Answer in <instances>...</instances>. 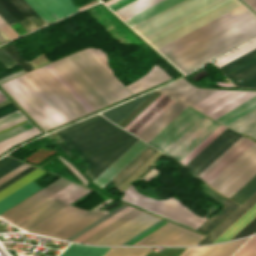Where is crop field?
Here are the masks:
<instances>
[{
	"instance_id": "crop-field-35",
	"label": "crop field",
	"mask_w": 256,
	"mask_h": 256,
	"mask_svg": "<svg viewBox=\"0 0 256 256\" xmlns=\"http://www.w3.org/2000/svg\"><path fill=\"white\" fill-rule=\"evenodd\" d=\"M48 8L59 18H63L78 9L72 4L71 0H42Z\"/></svg>"
},
{
	"instance_id": "crop-field-68",
	"label": "crop field",
	"mask_w": 256,
	"mask_h": 256,
	"mask_svg": "<svg viewBox=\"0 0 256 256\" xmlns=\"http://www.w3.org/2000/svg\"><path fill=\"white\" fill-rule=\"evenodd\" d=\"M8 41V39L0 32V44Z\"/></svg>"
},
{
	"instance_id": "crop-field-51",
	"label": "crop field",
	"mask_w": 256,
	"mask_h": 256,
	"mask_svg": "<svg viewBox=\"0 0 256 256\" xmlns=\"http://www.w3.org/2000/svg\"><path fill=\"white\" fill-rule=\"evenodd\" d=\"M36 168L30 166L27 169L23 170L22 172H20L19 174L15 175L14 177H12L11 179H9L8 181L4 182L3 184L0 185V191L3 190L4 188L8 187L9 185H11L12 183L16 182L17 180H19L20 178L24 177L25 175L29 174L30 172H32L33 170H35Z\"/></svg>"
},
{
	"instance_id": "crop-field-30",
	"label": "crop field",
	"mask_w": 256,
	"mask_h": 256,
	"mask_svg": "<svg viewBox=\"0 0 256 256\" xmlns=\"http://www.w3.org/2000/svg\"><path fill=\"white\" fill-rule=\"evenodd\" d=\"M223 211L218 215L207 219L197 230L208 234L213 228H215L221 221H223L231 212H233L238 206L232 203L230 200H225Z\"/></svg>"
},
{
	"instance_id": "crop-field-40",
	"label": "crop field",
	"mask_w": 256,
	"mask_h": 256,
	"mask_svg": "<svg viewBox=\"0 0 256 256\" xmlns=\"http://www.w3.org/2000/svg\"><path fill=\"white\" fill-rule=\"evenodd\" d=\"M195 88L196 87L191 86L185 80L181 79L169 86L161 88L160 90L178 99Z\"/></svg>"
},
{
	"instance_id": "crop-field-14",
	"label": "crop field",
	"mask_w": 256,
	"mask_h": 256,
	"mask_svg": "<svg viewBox=\"0 0 256 256\" xmlns=\"http://www.w3.org/2000/svg\"><path fill=\"white\" fill-rule=\"evenodd\" d=\"M202 238L200 234L168 222L133 245H195Z\"/></svg>"
},
{
	"instance_id": "crop-field-58",
	"label": "crop field",
	"mask_w": 256,
	"mask_h": 256,
	"mask_svg": "<svg viewBox=\"0 0 256 256\" xmlns=\"http://www.w3.org/2000/svg\"><path fill=\"white\" fill-rule=\"evenodd\" d=\"M247 239H248V238L235 241V242H234L223 254H221L220 256H230V255L233 254Z\"/></svg>"
},
{
	"instance_id": "crop-field-4",
	"label": "crop field",
	"mask_w": 256,
	"mask_h": 256,
	"mask_svg": "<svg viewBox=\"0 0 256 256\" xmlns=\"http://www.w3.org/2000/svg\"><path fill=\"white\" fill-rule=\"evenodd\" d=\"M220 125L187 107L148 144L181 161Z\"/></svg>"
},
{
	"instance_id": "crop-field-56",
	"label": "crop field",
	"mask_w": 256,
	"mask_h": 256,
	"mask_svg": "<svg viewBox=\"0 0 256 256\" xmlns=\"http://www.w3.org/2000/svg\"><path fill=\"white\" fill-rule=\"evenodd\" d=\"M22 163L23 162L14 159L11 162H9L8 164L4 165L3 167L0 168V177L3 176L4 174L8 173L12 169L16 168L17 166H19Z\"/></svg>"
},
{
	"instance_id": "crop-field-33",
	"label": "crop field",
	"mask_w": 256,
	"mask_h": 256,
	"mask_svg": "<svg viewBox=\"0 0 256 256\" xmlns=\"http://www.w3.org/2000/svg\"><path fill=\"white\" fill-rule=\"evenodd\" d=\"M161 0H136L116 11H114L123 20L152 6ZM127 20V19H126ZM125 21V20H124Z\"/></svg>"
},
{
	"instance_id": "crop-field-25",
	"label": "crop field",
	"mask_w": 256,
	"mask_h": 256,
	"mask_svg": "<svg viewBox=\"0 0 256 256\" xmlns=\"http://www.w3.org/2000/svg\"><path fill=\"white\" fill-rule=\"evenodd\" d=\"M41 189L32 181L0 201V214Z\"/></svg>"
},
{
	"instance_id": "crop-field-44",
	"label": "crop field",
	"mask_w": 256,
	"mask_h": 256,
	"mask_svg": "<svg viewBox=\"0 0 256 256\" xmlns=\"http://www.w3.org/2000/svg\"><path fill=\"white\" fill-rule=\"evenodd\" d=\"M254 192H256V176L252 178L245 186H243L235 195L230 199L242 204L246 201Z\"/></svg>"
},
{
	"instance_id": "crop-field-21",
	"label": "crop field",
	"mask_w": 256,
	"mask_h": 256,
	"mask_svg": "<svg viewBox=\"0 0 256 256\" xmlns=\"http://www.w3.org/2000/svg\"><path fill=\"white\" fill-rule=\"evenodd\" d=\"M110 201L111 199L105 201L101 205L97 206L96 208L92 209L88 213L84 214L83 216L79 217L75 221L71 222L67 226L58 230L57 232L52 234V236H56L64 239L70 237L74 233L78 232L79 230L83 229L84 227L88 226L92 222L96 221L97 219L107 214V212L98 211L97 209Z\"/></svg>"
},
{
	"instance_id": "crop-field-20",
	"label": "crop field",
	"mask_w": 256,
	"mask_h": 256,
	"mask_svg": "<svg viewBox=\"0 0 256 256\" xmlns=\"http://www.w3.org/2000/svg\"><path fill=\"white\" fill-rule=\"evenodd\" d=\"M186 107L187 106L177 101L137 137L148 143Z\"/></svg>"
},
{
	"instance_id": "crop-field-2",
	"label": "crop field",
	"mask_w": 256,
	"mask_h": 256,
	"mask_svg": "<svg viewBox=\"0 0 256 256\" xmlns=\"http://www.w3.org/2000/svg\"><path fill=\"white\" fill-rule=\"evenodd\" d=\"M56 133L66 142L60 146L69 157L73 148L92 164L84 171L92 181L138 140L100 115Z\"/></svg>"
},
{
	"instance_id": "crop-field-53",
	"label": "crop field",
	"mask_w": 256,
	"mask_h": 256,
	"mask_svg": "<svg viewBox=\"0 0 256 256\" xmlns=\"http://www.w3.org/2000/svg\"><path fill=\"white\" fill-rule=\"evenodd\" d=\"M256 230V218L253 219L245 228H243L234 238L253 233Z\"/></svg>"
},
{
	"instance_id": "crop-field-3",
	"label": "crop field",
	"mask_w": 256,
	"mask_h": 256,
	"mask_svg": "<svg viewBox=\"0 0 256 256\" xmlns=\"http://www.w3.org/2000/svg\"><path fill=\"white\" fill-rule=\"evenodd\" d=\"M221 127L222 125L217 130H215L207 139H205L197 148H195L187 157H185L181 162L183 163L188 157H190L202 144H204ZM226 129L227 128L223 126L204 145H202L190 158H188L183 163V165L186 166L190 161H192L200 152H202L211 142H213ZM241 138L242 136L227 129L223 134H221L213 143H211L202 153H200L186 167L193 174L200 177ZM252 144L253 142L243 137L200 178L209 184L214 178H216L225 168H227L237 157H239Z\"/></svg>"
},
{
	"instance_id": "crop-field-6",
	"label": "crop field",
	"mask_w": 256,
	"mask_h": 256,
	"mask_svg": "<svg viewBox=\"0 0 256 256\" xmlns=\"http://www.w3.org/2000/svg\"><path fill=\"white\" fill-rule=\"evenodd\" d=\"M67 59L110 103L131 95L88 50Z\"/></svg>"
},
{
	"instance_id": "crop-field-15",
	"label": "crop field",
	"mask_w": 256,
	"mask_h": 256,
	"mask_svg": "<svg viewBox=\"0 0 256 256\" xmlns=\"http://www.w3.org/2000/svg\"><path fill=\"white\" fill-rule=\"evenodd\" d=\"M159 219L143 212L93 244L121 245Z\"/></svg>"
},
{
	"instance_id": "crop-field-29",
	"label": "crop field",
	"mask_w": 256,
	"mask_h": 256,
	"mask_svg": "<svg viewBox=\"0 0 256 256\" xmlns=\"http://www.w3.org/2000/svg\"><path fill=\"white\" fill-rule=\"evenodd\" d=\"M1 86L43 130L51 129V127L34 111V109L18 94V92L8 82L1 84Z\"/></svg>"
},
{
	"instance_id": "crop-field-67",
	"label": "crop field",
	"mask_w": 256,
	"mask_h": 256,
	"mask_svg": "<svg viewBox=\"0 0 256 256\" xmlns=\"http://www.w3.org/2000/svg\"><path fill=\"white\" fill-rule=\"evenodd\" d=\"M12 158H9V157H4L2 159H0V167L3 166L4 164H6L7 162L11 161Z\"/></svg>"
},
{
	"instance_id": "crop-field-11",
	"label": "crop field",
	"mask_w": 256,
	"mask_h": 256,
	"mask_svg": "<svg viewBox=\"0 0 256 256\" xmlns=\"http://www.w3.org/2000/svg\"><path fill=\"white\" fill-rule=\"evenodd\" d=\"M174 101L175 99L157 91L118 126L136 136Z\"/></svg>"
},
{
	"instance_id": "crop-field-31",
	"label": "crop field",
	"mask_w": 256,
	"mask_h": 256,
	"mask_svg": "<svg viewBox=\"0 0 256 256\" xmlns=\"http://www.w3.org/2000/svg\"><path fill=\"white\" fill-rule=\"evenodd\" d=\"M152 93H150V94H152ZM150 94L140 97L136 100H133V101L126 103L122 106H119L117 108H114L110 111H107V112L103 113V115L105 117H107L109 120H111L117 124L127 114H129L134 108H136L142 101H144Z\"/></svg>"
},
{
	"instance_id": "crop-field-69",
	"label": "crop field",
	"mask_w": 256,
	"mask_h": 256,
	"mask_svg": "<svg viewBox=\"0 0 256 256\" xmlns=\"http://www.w3.org/2000/svg\"><path fill=\"white\" fill-rule=\"evenodd\" d=\"M7 99V97L0 91V101Z\"/></svg>"
},
{
	"instance_id": "crop-field-49",
	"label": "crop field",
	"mask_w": 256,
	"mask_h": 256,
	"mask_svg": "<svg viewBox=\"0 0 256 256\" xmlns=\"http://www.w3.org/2000/svg\"><path fill=\"white\" fill-rule=\"evenodd\" d=\"M230 244L208 246L198 256H219Z\"/></svg>"
},
{
	"instance_id": "crop-field-59",
	"label": "crop field",
	"mask_w": 256,
	"mask_h": 256,
	"mask_svg": "<svg viewBox=\"0 0 256 256\" xmlns=\"http://www.w3.org/2000/svg\"><path fill=\"white\" fill-rule=\"evenodd\" d=\"M21 116H23V114L19 110H17V111H15L13 113H10V114H8L6 116L1 117L0 118V125L5 124V123H7L9 121H12V120H14L16 118H19Z\"/></svg>"
},
{
	"instance_id": "crop-field-22",
	"label": "crop field",
	"mask_w": 256,
	"mask_h": 256,
	"mask_svg": "<svg viewBox=\"0 0 256 256\" xmlns=\"http://www.w3.org/2000/svg\"><path fill=\"white\" fill-rule=\"evenodd\" d=\"M61 76L84 98V100L94 109H99L92 100L77 86V84L62 70V68L56 63L51 64ZM50 64L46 67L56 76V78L79 100V102L89 111H94L83 98L60 76V74Z\"/></svg>"
},
{
	"instance_id": "crop-field-55",
	"label": "crop field",
	"mask_w": 256,
	"mask_h": 256,
	"mask_svg": "<svg viewBox=\"0 0 256 256\" xmlns=\"http://www.w3.org/2000/svg\"><path fill=\"white\" fill-rule=\"evenodd\" d=\"M132 1H134V0H108L104 3L114 11Z\"/></svg>"
},
{
	"instance_id": "crop-field-28",
	"label": "crop field",
	"mask_w": 256,
	"mask_h": 256,
	"mask_svg": "<svg viewBox=\"0 0 256 256\" xmlns=\"http://www.w3.org/2000/svg\"><path fill=\"white\" fill-rule=\"evenodd\" d=\"M183 0H163L152 7L128 18L125 20L126 23H128L131 27L160 13L161 11L181 2Z\"/></svg>"
},
{
	"instance_id": "crop-field-32",
	"label": "crop field",
	"mask_w": 256,
	"mask_h": 256,
	"mask_svg": "<svg viewBox=\"0 0 256 256\" xmlns=\"http://www.w3.org/2000/svg\"><path fill=\"white\" fill-rule=\"evenodd\" d=\"M256 216V205L253 206L246 214H244L236 223H234L227 231H225L213 243L230 240L245 225H247Z\"/></svg>"
},
{
	"instance_id": "crop-field-19",
	"label": "crop field",
	"mask_w": 256,
	"mask_h": 256,
	"mask_svg": "<svg viewBox=\"0 0 256 256\" xmlns=\"http://www.w3.org/2000/svg\"><path fill=\"white\" fill-rule=\"evenodd\" d=\"M57 63L93 100V102L99 108L109 104V102L87 81V79L66 58L57 61Z\"/></svg>"
},
{
	"instance_id": "crop-field-66",
	"label": "crop field",
	"mask_w": 256,
	"mask_h": 256,
	"mask_svg": "<svg viewBox=\"0 0 256 256\" xmlns=\"http://www.w3.org/2000/svg\"><path fill=\"white\" fill-rule=\"evenodd\" d=\"M252 9L256 11V0H244Z\"/></svg>"
},
{
	"instance_id": "crop-field-65",
	"label": "crop field",
	"mask_w": 256,
	"mask_h": 256,
	"mask_svg": "<svg viewBox=\"0 0 256 256\" xmlns=\"http://www.w3.org/2000/svg\"><path fill=\"white\" fill-rule=\"evenodd\" d=\"M164 220H160L158 222H156L155 224H153L152 226H150L149 228H147L146 230H144L143 232L139 233L138 235H136L135 237H133L132 239H130L129 241H127L126 243H124L123 245H126L128 243H130L131 241H133L134 239L138 238L139 236H141L142 234L146 233L147 231H149L150 229L154 228L155 226H157L158 224L162 223Z\"/></svg>"
},
{
	"instance_id": "crop-field-16",
	"label": "crop field",
	"mask_w": 256,
	"mask_h": 256,
	"mask_svg": "<svg viewBox=\"0 0 256 256\" xmlns=\"http://www.w3.org/2000/svg\"><path fill=\"white\" fill-rule=\"evenodd\" d=\"M86 212L87 211L69 205L29 231L49 235Z\"/></svg>"
},
{
	"instance_id": "crop-field-18",
	"label": "crop field",
	"mask_w": 256,
	"mask_h": 256,
	"mask_svg": "<svg viewBox=\"0 0 256 256\" xmlns=\"http://www.w3.org/2000/svg\"><path fill=\"white\" fill-rule=\"evenodd\" d=\"M70 183L71 182L60 178L57 181H55L54 183H52L51 185H49L48 187H46L45 189H43V190L41 189L42 191L30 196L29 198L22 201L21 203L14 206L13 208H11L10 210H8L7 212L3 213L0 216L4 217L5 219L10 221L13 218L17 217L21 213L25 212L32 206L36 205L40 201L44 200L45 198L49 197L50 195L54 194L55 192H57L58 190L62 189L63 187L67 186Z\"/></svg>"
},
{
	"instance_id": "crop-field-37",
	"label": "crop field",
	"mask_w": 256,
	"mask_h": 256,
	"mask_svg": "<svg viewBox=\"0 0 256 256\" xmlns=\"http://www.w3.org/2000/svg\"><path fill=\"white\" fill-rule=\"evenodd\" d=\"M42 133L40 130H38L36 127H33L29 130H26L20 134H17L13 137H10L4 141L0 142V154L4 151L10 149L11 147L15 146L21 141L27 140L29 138H32L38 134Z\"/></svg>"
},
{
	"instance_id": "crop-field-27",
	"label": "crop field",
	"mask_w": 256,
	"mask_h": 256,
	"mask_svg": "<svg viewBox=\"0 0 256 256\" xmlns=\"http://www.w3.org/2000/svg\"><path fill=\"white\" fill-rule=\"evenodd\" d=\"M226 126L256 139V108Z\"/></svg>"
},
{
	"instance_id": "crop-field-36",
	"label": "crop field",
	"mask_w": 256,
	"mask_h": 256,
	"mask_svg": "<svg viewBox=\"0 0 256 256\" xmlns=\"http://www.w3.org/2000/svg\"><path fill=\"white\" fill-rule=\"evenodd\" d=\"M141 212L142 211H139L137 209L131 211L130 213L126 214L122 218L118 219L117 221L113 222L112 224L108 225L107 227L103 228L102 230L98 231L97 233H95L94 235L90 236L89 238L85 239L82 242L83 243H88V244H91V243L95 242L99 238L103 237L107 233L111 232L112 230L119 227L120 225L127 222L128 220L135 217L136 215H138Z\"/></svg>"
},
{
	"instance_id": "crop-field-62",
	"label": "crop field",
	"mask_w": 256,
	"mask_h": 256,
	"mask_svg": "<svg viewBox=\"0 0 256 256\" xmlns=\"http://www.w3.org/2000/svg\"><path fill=\"white\" fill-rule=\"evenodd\" d=\"M17 110L12 102L0 107V117Z\"/></svg>"
},
{
	"instance_id": "crop-field-39",
	"label": "crop field",
	"mask_w": 256,
	"mask_h": 256,
	"mask_svg": "<svg viewBox=\"0 0 256 256\" xmlns=\"http://www.w3.org/2000/svg\"><path fill=\"white\" fill-rule=\"evenodd\" d=\"M0 3L27 32L36 29V27L14 6L10 0H0Z\"/></svg>"
},
{
	"instance_id": "crop-field-61",
	"label": "crop field",
	"mask_w": 256,
	"mask_h": 256,
	"mask_svg": "<svg viewBox=\"0 0 256 256\" xmlns=\"http://www.w3.org/2000/svg\"><path fill=\"white\" fill-rule=\"evenodd\" d=\"M29 165L27 164H22L21 166L17 167L16 169H14L13 171L9 172L8 174H6L5 176L0 178V184L3 183L4 181L8 180L9 178H11L12 176H14L15 174L19 173L20 171H22L23 169L27 168Z\"/></svg>"
},
{
	"instance_id": "crop-field-9",
	"label": "crop field",
	"mask_w": 256,
	"mask_h": 256,
	"mask_svg": "<svg viewBox=\"0 0 256 256\" xmlns=\"http://www.w3.org/2000/svg\"><path fill=\"white\" fill-rule=\"evenodd\" d=\"M123 199L126 202L162 215L194 229H197L205 221V219L196 216L192 211L173 197L156 202L154 200L142 197L132 186H130Z\"/></svg>"
},
{
	"instance_id": "crop-field-57",
	"label": "crop field",
	"mask_w": 256,
	"mask_h": 256,
	"mask_svg": "<svg viewBox=\"0 0 256 256\" xmlns=\"http://www.w3.org/2000/svg\"><path fill=\"white\" fill-rule=\"evenodd\" d=\"M100 60L101 62L112 72L108 65L107 55L104 51L96 48H89Z\"/></svg>"
},
{
	"instance_id": "crop-field-17",
	"label": "crop field",
	"mask_w": 256,
	"mask_h": 256,
	"mask_svg": "<svg viewBox=\"0 0 256 256\" xmlns=\"http://www.w3.org/2000/svg\"><path fill=\"white\" fill-rule=\"evenodd\" d=\"M148 146L138 140L93 182L102 188Z\"/></svg>"
},
{
	"instance_id": "crop-field-52",
	"label": "crop field",
	"mask_w": 256,
	"mask_h": 256,
	"mask_svg": "<svg viewBox=\"0 0 256 256\" xmlns=\"http://www.w3.org/2000/svg\"><path fill=\"white\" fill-rule=\"evenodd\" d=\"M9 25V24H8ZM0 17V30L9 39L18 37V35L8 26Z\"/></svg>"
},
{
	"instance_id": "crop-field-10",
	"label": "crop field",
	"mask_w": 256,
	"mask_h": 256,
	"mask_svg": "<svg viewBox=\"0 0 256 256\" xmlns=\"http://www.w3.org/2000/svg\"><path fill=\"white\" fill-rule=\"evenodd\" d=\"M255 47H256V40L249 43L248 45L216 60V62L213 64L218 67V66L254 49ZM255 58H256V48L254 50L218 67V68L225 74V73H227V72L255 59ZM225 75L234 84H236L239 87H255L256 88V59L225 74Z\"/></svg>"
},
{
	"instance_id": "crop-field-54",
	"label": "crop field",
	"mask_w": 256,
	"mask_h": 256,
	"mask_svg": "<svg viewBox=\"0 0 256 256\" xmlns=\"http://www.w3.org/2000/svg\"><path fill=\"white\" fill-rule=\"evenodd\" d=\"M0 61L7 67H11L17 64L6 52L3 48H0Z\"/></svg>"
},
{
	"instance_id": "crop-field-5",
	"label": "crop field",
	"mask_w": 256,
	"mask_h": 256,
	"mask_svg": "<svg viewBox=\"0 0 256 256\" xmlns=\"http://www.w3.org/2000/svg\"><path fill=\"white\" fill-rule=\"evenodd\" d=\"M25 76L68 121L88 113L45 66Z\"/></svg>"
},
{
	"instance_id": "crop-field-45",
	"label": "crop field",
	"mask_w": 256,
	"mask_h": 256,
	"mask_svg": "<svg viewBox=\"0 0 256 256\" xmlns=\"http://www.w3.org/2000/svg\"><path fill=\"white\" fill-rule=\"evenodd\" d=\"M133 209L134 208H132L130 206L124 208L120 212L116 213L112 217L108 218L104 222L100 223L99 225H97L96 227L92 228L91 230H89L88 232L84 233L83 235H81L80 237L76 238L73 241L80 242V241L84 240L85 238L89 237L93 233L97 232L98 230L102 229L103 227L107 226L108 224L112 223L113 221L117 220L118 218H120L121 216L125 215L126 213L130 212Z\"/></svg>"
},
{
	"instance_id": "crop-field-1",
	"label": "crop field",
	"mask_w": 256,
	"mask_h": 256,
	"mask_svg": "<svg viewBox=\"0 0 256 256\" xmlns=\"http://www.w3.org/2000/svg\"><path fill=\"white\" fill-rule=\"evenodd\" d=\"M256 36V17L242 5L157 49L184 74Z\"/></svg>"
},
{
	"instance_id": "crop-field-46",
	"label": "crop field",
	"mask_w": 256,
	"mask_h": 256,
	"mask_svg": "<svg viewBox=\"0 0 256 256\" xmlns=\"http://www.w3.org/2000/svg\"><path fill=\"white\" fill-rule=\"evenodd\" d=\"M151 248H111L104 256H144Z\"/></svg>"
},
{
	"instance_id": "crop-field-60",
	"label": "crop field",
	"mask_w": 256,
	"mask_h": 256,
	"mask_svg": "<svg viewBox=\"0 0 256 256\" xmlns=\"http://www.w3.org/2000/svg\"><path fill=\"white\" fill-rule=\"evenodd\" d=\"M0 16L9 24V26L17 23V21L1 6V4H0Z\"/></svg>"
},
{
	"instance_id": "crop-field-50",
	"label": "crop field",
	"mask_w": 256,
	"mask_h": 256,
	"mask_svg": "<svg viewBox=\"0 0 256 256\" xmlns=\"http://www.w3.org/2000/svg\"><path fill=\"white\" fill-rule=\"evenodd\" d=\"M31 127H33V125L29 121L24 123V124H22V125H19V126L13 128L11 130H8V131L0 134V141L4 140V139H6V138H8L10 136H13V135H15L17 133H20V132H22V131H24L26 129H29Z\"/></svg>"
},
{
	"instance_id": "crop-field-43",
	"label": "crop field",
	"mask_w": 256,
	"mask_h": 256,
	"mask_svg": "<svg viewBox=\"0 0 256 256\" xmlns=\"http://www.w3.org/2000/svg\"><path fill=\"white\" fill-rule=\"evenodd\" d=\"M49 24L58 18L41 2V0H25Z\"/></svg>"
},
{
	"instance_id": "crop-field-38",
	"label": "crop field",
	"mask_w": 256,
	"mask_h": 256,
	"mask_svg": "<svg viewBox=\"0 0 256 256\" xmlns=\"http://www.w3.org/2000/svg\"><path fill=\"white\" fill-rule=\"evenodd\" d=\"M255 107L256 96L216 121L226 125Z\"/></svg>"
},
{
	"instance_id": "crop-field-24",
	"label": "crop field",
	"mask_w": 256,
	"mask_h": 256,
	"mask_svg": "<svg viewBox=\"0 0 256 256\" xmlns=\"http://www.w3.org/2000/svg\"><path fill=\"white\" fill-rule=\"evenodd\" d=\"M170 78L172 77L169 76L165 71H163L159 66L155 64L147 75L135 81L134 83L126 86V88L134 94L151 86L165 82Z\"/></svg>"
},
{
	"instance_id": "crop-field-42",
	"label": "crop field",
	"mask_w": 256,
	"mask_h": 256,
	"mask_svg": "<svg viewBox=\"0 0 256 256\" xmlns=\"http://www.w3.org/2000/svg\"><path fill=\"white\" fill-rule=\"evenodd\" d=\"M216 91H218V90L197 88V89H195L192 92L186 94L185 96H183L182 98H180L178 100H180V101H182V102L191 106V105L197 103L198 101L204 99L205 97L213 94Z\"/></svg>"
},
{
	"instance_id": "crop-field-12",
	"label": "crop field",
	"mask_w": 256,
	"mask_h": 256,
	"mask_svg": "<svg viewBox=\"0 0 256 256\" xmlns=\"http://www.w3.org/2000/svg\"><path fill=\"white\" fill-rule=\"evenodd\" d=\"M255 95L254 91L220 90L191 107L216 120Z\"/></svg>"
},
{
	"instance_id": "crop-field-34",
	"label": "crop field",
	"mask_w": 256,
	"mask_h": 256,
	"mask_svg": "<svg viewBox=\"0 0 256 256\" xmlns=\"http://www.w3.org/2000/svg\"><path fill=\"white\" fill-rule=\"evenodd\" d=\"M109 249L71 244L61 256H103Z\"/></svg>"
},
{
	"instance_id": "crop-field-47",
	"label": "crop field",
	"mask_w": 256,
	"mask_h": 256,
	"mask_svg": "<svg viewBox=\"0 0 256 256\" xmlns=\"http://www.w3.org/2000/svg\"><path fill=\"white\" fill-rule=\"evenodd\" d=\"M10 56L24 69L25 72L33 69L32 65L29 64L25 58L21 55L18 49L14 46L13 43L3 47Z\"/></svg>"
},
{
	"instance_id": "crop-field-70",
	"label": "crop field",
	"mask_w": 256,
	"mask_h": 256,
	"mask_svg": "<svg viewBox=\"0 0 256 256\" xmlns=\"http://www.w3.org/2000/svg\"><path fill=\"white\" fill-rule=\"evenodd\" d=\"M8 102H10V101H6V102H4V103H1L0 106L3 105V104H6V103H8Z\"/></svg>"
},
{
	"instance_id": "crop-field-41",
	"label": "crop field",
	"mask_w": 256,
	"mask_h": 256,
	"mask_svg": "<svg viewBox=\"0 0 256 256\" xmlns=\"http://www.w3.org/2000/svg\"><path fill=\"white\" fill-rule=\"evenodd\" d=\"M37 27L46 25V23L35 13V11L24 0H11Z\"/></svg>"
},
{
	"instance_id": "crop-field-23",
	"label": "crop field",
	"mask_w": 256,
	"mask_h": 256,
	"mask_svg": "<svg viewBox=\"0 0 256 256\" xmlns=\"http://www.w3.org/2000/svg\"><path fill=\"white\" fill-rule=\"evenodd\" d=\"M256 203V193H254L246 202H244L236 211H234L225 221H223L215 230H213L198 245L212 243L227 228H229L238 218H240L248 209Z\"/></svg>"
},
{
	"instance_id": "crop-field-8",
	"label": "crop field",
	"mask_w": 256,
	"mask_h": 256,
	"mask_svg": "<svg viewBox=\"0 0 256 256\" xmlns=\"http://www.w3.org/2000/svg\"><path fill=\"white\" fill-rule=\"evenodd\" d=\"M256 175V144L254 143L209 185L231 197Z\"/></svg>"
},
{
	"instance_id": "crop-field-13",
	"label": "crop field",
	"mask_w": 256,
	"mask_h": 256,
	"mask_svg": "<svg viewBox=\"0 0 256 256\" xmlns=\"http://www.w3.org/2000/svg\"><path fill=\"white\" fill-rule=\"evenodd\" d=\"M9 83L52 128L67 122L24 75L9 81Z\"/></svg>"
},
{
	"instance_id": "crop-field-7",
	"label": "crop field",
	"mask_w": 256,
	"mask_h": 256,
	"mask_svg": "<svg viewBox=\"0 0 256 256\" xmlns=\"http://www.w3.org/2000/svg\"><path fill=\"white\" fill-rule=\"evenodd\" d=\"M90 191L72 183L10 222L28 230Z\"/></svg>"
},
{
	"instance_id": "crop-field-26",
	"label": "crop field",
	"mask_w": 256,
	"mask_h": 256,
	"mask_svg": "<svg viewBox=\"0 0 256 256\" xmlns=\"http://www.w3.org/2000/svg\"><path fill=\"white\" fill-rule=\"evenodd\" d=\"M158 150L148 147L143 151L135 160H133L125 169H123L115 178L110 182L114 184L116 188L121 184L127 177H129L136 169H138L145 161H147L153 154Z\"/></svg>"
},
{
	"instance_id": "crop-field-48",
	"label": "crop field",
	"mask_w": 256,
	"mask_h": 256,
	"mask_svg": "<svg viewBox=\"0 0 256 256\" xmlns=\"http://www.w3.org/2000/svg\"><path fill=\"white\" fill-rule=\"evenodd\" d=\"M234 256H256V236L252 237Z\"/></svg>"
},
{
	"instance_id": "crop-field-64",
	"label": "crop field",
	"mask_w": 256,
	"mask_h": 256,
	"mask_svg": "<svg viewBox=\"0 0 256 256\" xmlns=\"http://www.w3.org/2000/svg\"><path fill=\"white\" fill-rule=\"evenodd\" d=\"M24 120H26V117H25V116H23V117H21V118H19V119H16V120H14V121H12V122H9V123H7V124H5V125H2V126H0V131L3 130V129H5V128H8V127H10V126H12V125H14V124H17V123H19V122H21V121H24ZM26 121H28V120H26ZM26 121H24V122H26ZM24 122H21V123H24ZM21 123H19V124H21ZM19 124H17V125H19ZM17 125H15V126H17ZM12 127H14V126H12ZM12 127H10V128H12ZM10 128H8V129H10ZM5 130H7V129H5ZM5 130H3V131H5ZM3 131H1V132H3ZM1 132H0V133H1Z\"/></svg>"
},
{
	"instance_id": "crop-field-63",
	"label": "crop field",
	"mask_w": 256,
	"mask_h": 256,
	"mask_svg": "<svg viewBox=\"0 0 256 256\" xmlns=\"http://www.w3.org/2000/svg\"><path fill=\"white\" fill-rule=\"evenodd\" d=\"M204 248H187L180 256H197Z\"/></svg>"
}]
</instances>
